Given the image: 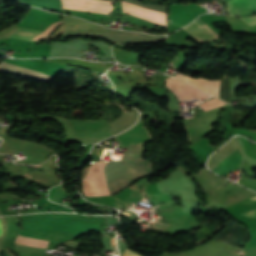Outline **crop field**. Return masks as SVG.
Segmentation results:
<instances>
[{
    "label": "crop field",
    "instance_id": "obj_12",
    "mask_svg": "<svg viewBox=\"0 0 256 256\" xmlns=\"http://www.w3.org/2000/svg\"><path fill=\"white\" fill-rule=\"evenodd\" d=\"M148 230L158 231V232H162V233H166V234H174L175 233V232L163 231V230L152 229V228H149Z\"/></svg>",
    "mask_w": 256,
    "mask_h": 256
},
{
    "label": "crop field",
    "instance_id": "obj_13",
    "mask_svg": "<svg viewBox=\"0 0 256 256\" xmlns=\"http://www.w3.org/2000/svg\"><path fill=\"white\" fill-rule=\"evenodd\" d=\"M240 184H242V185H244V186H246V187H248V188H250V189H252V190H255L256 191V188L255 187H252V186H250V185H248V184H246V183H244V182H239Z\"/></svg>",
    "mask_w": 256,
    "mask_h": 256
},
{
    "label": "crop field",
    "instance_id": "obj_2",
    "mask_svg": "<svg viewBox=\"0 0 256 256\" xmlns=\"http://www.w3.org/2000/svg\"><path fill=\"white\" fill-rule=\"evenodd\" d=\"M166 86L174 92L180 102L191 98H198L202 101L210 97L200 90L174 78L166 79Z\"/></svg>",
    "mask_w": 256,
    "mask_h": 256
},
{
    "label": "crop field",
    "instance_id": "obj_6",
    "mask_svg": "<svg viewBox=\"0 0 256 256\" xmlns=\"http://www.w3.org/2000/svg\"><path fill=\"white\" fill-rule=\"evenodd\" d=\"M40 33L42 32L23 28L9 27L0 32V39L14 37L18 39L30 40L35 36L39 35Z\"/></svg>",
    "mask_w": 256,
    "mask_h": 256
},
{
    "label": "crop field",
    "instance_id": "obj_8",
    "mask_svg": "<svg viewBox=\"0 0 256 256\" xmlns=\"http://www.w3.org/2000/svg\"><path fill=\"white\" fill-rule=\"evenodd\" d=\"M48 242L49 241L46 240L28 238L18 235L15 244L46 248Z\"/></svg>",
    "mask_w": 256,
    "mask_h": 256
},
{
    "label": "crop field",
    "instance_id": "obj_9",
    "mask_svg": "<svg viewBox=\"0 0 256 256\" xmlns=\"http://www.w3.org/2000/svg\"><path fill=\"white\" fill-rule=\"evenodd\" d=\"M251 199L256 200V196L251 198ZM242 215H246V216H250V217H256V208L251 209V210L243 213Z\"/></svg>",
    "mask_w": 256,
    "mask_h": 256
},
{
    "label": "crop field",
    "instance_id": "obj_4",
    "mask_svg": "<svg viewBox=\"0 0 256 256\" xmlns=\"http://www.w3.org/2000/svg\"><path fill=\"white\" fill-rule=\"evenodd\" d=\"M226 10L229 15H244L256 10V0H231Z\"/></svg>",
    "mask_w": 256,
    "mask_h": 256
},
{
    "label": "crop field",
    "instance_id": "obj_10",
    "mask_svg": "<svg viewBox=\"0 0 256 256\" xmlns=\"http://www.w3.org/2000/svg\"><path fill=\"white\" fill-rule=\"evenodd\" d=\"M245 22L249 23L250 25L256 24V16L253 17H242Z\"/></svg>",
    "mask_w": 256,
    "mask_h": 256
},
{
    "label": "crop field",
    "instance_id": "obj_11",
    "mask_svg": "<svg viewBox=\"0 0 256 256\" xmlns=\"http://www.w3.org/2000/svg\"><path fill=\"white\" fill-rule=\"evenodd\" d=\"M123 256H141V255L136 253V252H133V251L127 249Z\"/></svg>",
    "mask_w": 256,
    "mask_h": 256
},
{
    "label": "crop field",
    "instance_id": "obj_3",
    "mask_svg": "<svg viewBox=\"0 0 256 256\" xmlns=\"http://www.w3.org/2000/svg\"><path fill=\"white\" fill-rule=\"evenodd\" d=\"M122 146H128L139 142L151 140L150 135L143 126L142 122L129 133L118 137Z\"/></svg>",
    "mask_w": 256,
    "mask_h": 256
},
{
    "label": "crop field",
    "instance_id": "obj_1",
    "mask_svg": "<svg viewBox=\"0 0 256 256\" xmlns=\"http://www.w3.org/2000/svg\"><path fill=\"white\" fill-rule=\"evenodd\" d=\"M76 138L113 134L107 121L103 119L90 121L70 120Z\"/></svg>",
    "mask_w": 256,
    "mask_h": 256
},
{
    "label": "crop field",
    "instance_id": "obj_14",
    "mask_svg": "<svg viewBox=\"0 0 256 256\" xmlns=\"http://www.w3.org/2000/svg\"><path fill=\"white\" fill-rule=\"evenodd\" d=\"M195 21H196L200 26L204 24L203 22H201L202 20L200 21L199 19H197V20H195Z\"/></svg>",
    "mask_w": 256,
    "mask_h": 256
},
{
    "label": "crop field",
    "instance_id": "obj_5",
    "mask_svg": "<svg viewBox=\"0 0 256 256\" xmlns=\"http://www.w3.org/2000/svg\"><path fill=\"white\" fill-rule=\"evenodd\" d=\"M174 77L185 80V81L191 83L192 85H194V86H196V87H198L216 97L218 95L220 80L212 81V80H206V79H202V78L191 79V78H188L180 73L174 75Z\"/></svg>",
    "mask_w": 256,
    "mask_h": 256
},
{
    "label": "crop field",
    "instance_id": "obj_15",
    "mask_svg": "<svg viewBox=\"0 0 256 256\" xmlns=\"http://www.w3.org/2000/svg\"><path fill=\"white\" fill-rule=\"evenodd\" d=\"M1 233H2V228H1V224H0V235H1Z\"/></svg>",
    "mask_w": 256,
    "mask_h": 256
},
{
    "label": "crop field",
    "instance_id": "obj_7",
    "mask_svg": "<svg viewBox=\"0 0 256 256\" xmlns=\"http://www.w3.org/2000/svg\"><path fill=\"white\" fill-rule=\"evenodd\" d=\"M147 194V198L154 204L158 205L160 202L168 200L163 192L159 189L155 182L145 185L143 189Z\"/></svg>",
    "mask_w": 256,
    "mask_h": 256
}]
</instances>
